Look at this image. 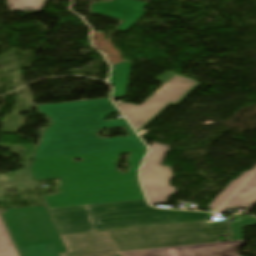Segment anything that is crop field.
Here are the masks:
<instances>
[{"label": "crop field", "mask_w": 256, "mask_h": 256, "mask_svg": "<svg viewBox=\"0 0 256 256\" xmlns=\"http://www.w3.org/2000/svg\"><path fill=\"white\" fill-rule=\"evenodd\" d=\"M53 124L45 130L31 173L35 180L61 178L60 194L44 197L49 208L145 199L137 170L146 147L125 119L103 122L116 107L90 100L37 106ZM124 126L130 137L100 139L97 129ZM132 152L128 174L116 169L118 155ZM80 157L81 162L73 158Z\"/></svg>", "instance_id": "8a807250"}, {"label": "crop field", "mask_w": 256, "mask_h": 256, "mask_svg": "<svg viewBox=\"0 0 256 256\" xmlns=\"http://www.w3.org/2000/svg\"><path fill=\"white\" fill-rule=\"evenodd\" d=\"M49 210L61 234L200 221L211 214L158 210L145 200Z\"/></svg>", "instance_id": "ac0d7876"}, {"label": "crop field", "mask_w": 256, "mask_h": 256, "mask_svg": "<svg viewBox=\"0 0 256 256\" xmlns=\"http://www.w3.org/2000/svg\"><path fill=\"white\" fill-rule=\"evenodd\" d=\"M254 225L256 219L246 217L233 223L163 225L107 233L118 252L215 242L218 236L225 235H232L233 240H237L242 239V227Z\"/></svg>", "instance_id": "34b2d1b8"}, {"label": "crop field", "mask_w": 256, "mask_h": 256, "mask_svg": "<svg viewBox=\"0 0 256 256\" xmlns=\"http://www.w3.org/2000/svg\"><path fill=\"white\" fill-rule=\"evenodd\" d=\"M22 256H57L65 252L46 207L7 210L3 214Z\"/></svg>", "instance_id": "412701ff"}, {"label": "crop field", "mask_w": 256, "mask_h": 256, "mask_svg": "<svg viewBox=\"0 0 256 256\" xmlns=\"http://www.w3.org/2000/svg\"><path fill=\"white\" fill-rule=\"evenodd\" d=\"M156 81L165 83L155 94L140 106L121 103L118 107L139 133L170 105H178L200 83L194 79L165 72Z\"/></svg>", "instance_id": "f4fd0767"}, {"label": "crop field", "mask_w": 256, "mask_h": 256, "mask_svg": "<svg viewBox=\"0 0 256 256\" xmlns=\"http://www.w3.org/2000/svg\"><path fill=\"white\" fill-rule=\"evenodd\" d=\"M169 146L153 142L140 174L142 184L151 205L167 203L168 196L176 192L169 179L173 176L170 167L161 166Z\"/></svg>", "instance_id": "dd49c442"}, {"label": "crop field", "mask_w": 256, "mask_h": 256, "mask_svg": "<svg viewBox=\"0 0 256 256\" xmlns=\"http://www.w3.org/2000/svg\"><path fill=\"white\" fill-rule=\"evenodd\" d=\"M242 244L238 240L120 253L122 256H238L236 250Z\"/></svg>", "instance_id": "e52e79f7"}, {"label": "crop field", "mask_w": 256, "mask_h": 256, "mask_svg": "<svg viewBox=\"0 0 256 256\" xmlns=\"http://www.w3.org/2000/svg\"><path fill=\"white\" fill-rule=\"evenodd\" d=\"M70 253L62 256H121L107 233H81L62 236Z\"/></svg>", "instance_id": "d8731c3e"}, {"label": "crop field", "mask_w": 256, "mask_h": 256, "mask_svg": "<svg viewBox=\"0 0 256 256\" xmlns=\"http://www.w3.org/2000/svg\"><path fill=\"white\" fill-rule=\"evenodd\" d=\"M147 4L148 3L136 0H114L112 2L92 4L90 5V12L118 18L124 21L116 29L126 31L146 13L143 8Z\"/></svg>", "instance_id": "5a996713"}, {"label": "crop field", "mask_w": 256, "mask_h": 256, "mask_svg": "<svg viewBox=\"0 0 256 256\" xmlns=\"http://www.w3.org/2000/svg\"><path fill=\"white\" fill-rule=\"evenodd\" d=\"M256 203V172L247 180V182L230 198V200L219 210L225 212L237 207L247 208L248 214L250 208ZM254 206V205H253Z\"/></svg>", "instance_id": "3316defc"}, {"label": "crop field", "mask_w": 256, "mask_h": 256, "mask_svg": "<svg viewBox=\"0 0 256 256\" xmlns=\"http://www.w3.org/2000/svg\"><path fill=\"white\" fill-rule=\"evenodd\" d=\"M132 63H120L114 65L110 83L115 85L113 97L125 95L129 72Z\"/></svg>", "instance_id": "28ad6ade"}, {"label": "crop field", "mask_w": 256, "mask_h": 256, "mask_svg": "<svg viewBox=\"0 0 256 256\" xmlns=\"http://www.w3.org/2000/svg\"><path fill=\"white\" fill-rule=\"evenodd\" d=\"M256 169V165L252 170L242 173L237 179L231 181L221 193L207 206L210 211H216L221 204L235 191V189Z\"/></svg>", "instance_id": "d1516ede"}, {"label": "crop field", "mask_w": 256, "mask_h": 256, "mask_svg": "<svg viewBox=\"0 0 256 256\" xmlns=\"http://www.w3.org/2000/svg\"><path fill=\"white\" fill-rule=\"evenodd\" d=\"M0 256H18L0 219Z\"/></svg>", "instance_id": "22f410ed"}, {"label": "crop field", "mask_w": 256, "mask_h": 256, "mask_svg": "<svg viewBox=\"0 0 256 256\" xmlns=\"http://www.w3.org/2000/svg\"><path fill=\"white\" fill-rule=\"evenodd\" d=\"M45 0H9L12 10H40Z\"/></svg>", "instance_id": "cbeb9de0"}]
</instances>
